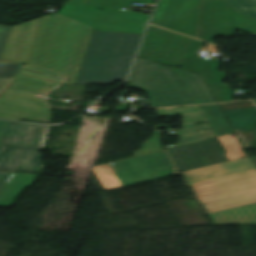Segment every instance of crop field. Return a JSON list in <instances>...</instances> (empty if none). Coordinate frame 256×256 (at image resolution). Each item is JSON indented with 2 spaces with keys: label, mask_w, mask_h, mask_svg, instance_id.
I'll return each instance as SVG.
<instances>
[{
  "label": "crop field",
  "mask_w": 256,
  "mask_h": 256,
  "mask_svg": "<svg viewBox=\"0 0 256 256\" xmlns=\"http://www.w3.org/2000/svg\"><path fill=\"white\" fill-rule=\"evenodd\" d=\"M201 0H161L153 24L197 38Z\"/></svg>",
  "instance_id": "crop-field-10"
},
{
  "label": "crop field",
  "mask_w": 256,
  "mask_h": 256,
  "mask_svg": "<svg viewBox=\"0 0 256 256\" xmlns=\"http://www.w3.org/2000/svg\"><path fill=\"white\" fill-rule=\"evenodd\" d=\"M173 69L185 85L196 104L215 103L209 89L200 75L177 68Z\"/></svg>",
  "instance_id": "crop-field-16"
},
{
  "label": "crop field",
  "mask_w": 256,
  "mask_h": 256,
  "mask_svg": "<svg viewBox=\"0 0 256 256\" xmlns=\"http://www.w3.org/2000/svg\"><path fill=\"white\" fill-rule=\"evenodd\" d=\"M105 190L178 173L164 151L94 169Z\"/></svg>",
  "instance_id": "crop-field-7"
},
{
  "label": "crop field",
  "mask_w": 256,
  "mask_h": 256,
  "mask_svg": "<svg viewBox=\"0 0 256 256\" xmlns=\"http://www.w3.org/2000/svg\"><path fill=\"white\" fill-rule=\"evenodd\" d=\"M253 161L255 162L256 164V156L252 157Z\"/></svg>",
  "instance_id": "crop-field-29"
},
{
  "label": "crop field",
  "mask_w": 256,
  "mask_h": 256,
  "mask_svg": "<svg viewBox=\"0 0 256 256\" xmlns=\"http://www.w3.org/2000/svg\"><path fill=\"white\" fill-rule=\"evenodd\" d=\"M203 42L150 27L140 57L162 62L203 75L210 87L225 85V72H218L220 60H204L197 52Z\"/></svg>",
  "instance_id": "crop-field-4"
},
{
  "label": "crop field",
  "mask_w": 256,
  "mask_h": 256,
  "mask_svg": "<svg viewBox=\"0 0 256 256\" xmlns=\"http://www.w3.org/2000/svg\"><path fill=\"white\" fill-rule=\"evenodd\" d=\"M7 78H0V91L4 87V85L8 82Z\"/></svg>",
  "instance_id": "crop-field-27"
},
{
  "label": "crop field",
  "mask_w": 256,
  "mask_h": 256,
  "mask_svg": "<svg viewBox=\"0 0 256 256\" xmlns=\"http://www.w3.org/2000/svg\"><path fill=\"white\" fill-rule=\"evenodd\" d=\"M37 175L13 172L0 191V206L13 207L24 187L31 186Z\"/></svg>",
  "instance_id": "crop-field-15"
},
{
  "label": "crop field",
  "mask_w": 256,
  "mask_h": 256,
  "mask_svg": "<svg viewBox=\"0 0 256 256\" xmlns=\"http://www.w3.org/2000/svg\"><path fill=\"white\" fill-rule=\"evenodd\" d=\"M163 66V64L137 58L128 85L141 90H154Z\"/></svg>",
  "instance_id": "crop-field-14"
},
{
  "label": "crop field",
  "mask_w": 256,
  "mask_h": 256,
  "mask_svg": "<svg viewBox=\"0 0 256 256\" xmlns=\"http://www.w3.org/2000/svg\"><path fill=\"white\" fill-rule=\"evenodd\" d=\"M169 153L181 171L231 160L216 138L170 149Z\"/></svg>",
  "instance_id": "crop-field-11"
},
{
  "label": "crop field",
  "mask_w": 256,
  "mask_h": 256,
  "mask_svg": "<svg viewBox=\"0 0 256 256\" xmlns=\"http://www.w3.org/2000/svg\"><path fill=\"white\" fill-rule=\"evenodd\" d=\"M255 101H256V99H255Z\"/></svg>",
  "instance_id": "crop-field-30"
},
{
  "label": "crop field",
  "mask_w": 256,
  "mask_h": 256,
  "mask_svg": "<svg viewBox=\"0 0 256 256\" xmlns=\"http://www.w3.org/2000/svg\"><path fill=\"white\" fill-rule=\"evenodd\" d=\"M11 172H6V171H0V189L4 185L5 181L9 177Z\"/></svg>",
  "instance_id": "crop-field-25"
},
{
  "label": "crop field",
  "mask_w": 256,
  "mask_h": 256,
  "mask_svg": "<svg viewBox=\"0 0 256 256\" xmlns=\"http://www.w3.org/2000/svg\"><path fill=\"white\" fill-rule=\"evenodd\" d=\"M141 36L93 31L75 84L124 81Z\"/></svg>",
  "instance_id": "crop-field-3"
},
{
  "label": "crop field",
  "mask_w": 256,
  "mask_h": 256,
  "mask_svg": "<svg viewBox=\"0 0 256 256\" xmlns=\"http://www.w3.org/2000/svg\"><path fill=\"white\" fill-rule=\"evenodd\" d=\"M239 13L256 19V0H226Z\"/></svg>",
  "instance_id": "crop-field-22"
},
{
  "label": "crop field",
  "mask_w": 256,
  "mask_h": 256,
  "mask_svg": "<svg viewBox=\"0 0 256 256\" xmlns=\"http://www.w3.org/2000/svg\"><path fill=\"white\" fill-rule=\"evenodd\" d=\"M154 91H147L151 106H179L195 104L182 82L172 69L164 66Z\"/></svg>",
  "instance_id": "crop-field-12"
},
{
  "label": "crop field",
  "mask_w": 256,
  "mask_h": 256,
  "mask_svg": "<svg viewBox=\"0 0 256 256\" xmlns=\"http://www.w3.org/2000/svg\"><path fill=\"white\" fill-rule=\"evenodd\" d=\"M230 6L225 0H203L201 40L212 43L215 36H234L235 28L256 36V20L240 15Z\"/></svg>",
  "instance_id": "crop-field-9"
},
{
  "label": "crop field",
  "mask_w": 256,
  "mask_h": 256,
  "mask_svg": "<svg viewBox=\"0 0 256 256\" xmlns=\"http://www.w3.org/2000/svg\"><path fill=\"white\" fill-rule=\"evenodd\" d=\"M0 118L49 123L50 108L0 96Z\"/></svg>",
  "instance_id": "crop-field-13"
},
{
  "label": "crop field",
  "mask_w": 256,
  "mask_h": 256,
  "mask_svg": "<svg viewBox=\"0 0 256 256\" xmlns=\"http://www.w3.org/2000/svg\"><path fill=\"white\" fill-rule=\"evenodd\" d=\"M8 122L0 121V141Z\"/></svg>",
  "instance_id": "crop-field-26"
},
{
  "label": "crop field",
  "mask_w": 256,
  "mask_h": 256,
  "mask_svg": "<svg viewBox=\"0 0 256 256\" xmlns=\"http://www.w3.org/2000/svg\"><path fill=\"white\" fill-rule=\"evenodd\" d=\"M208 52H212V53H219L217 50H216V46L215 45H210V48H209V51Z\"/></svg>",
  "instance_id": "crop-field-28"
},
{
  "label": "crop field",
  "mask_w": 256,
  "mask_h": 256,
  "mask_svg": "<svg viewBox=\"0 0 256 256\" xmlns=\"http://www.w3.org/2000/svg\"><path fill=\"white\" fill-rule=\"evenodd\" d=\"M214 225L256 223V204L210 214Z\"/></svg>",
  "instance_id": "crop-field-17"
},
{
  "label": "crop field",
  "mask_w": 256,
  "mask_h": 256,
  "mask_svg": "<svg viewBox=\"0 0 256 256\" xmlns=\"http://www.w3.org/2000/svg\"><path fill=\"white\" fill-rule=\"evenodd\" d=\"M52 15L11 28L2 59L24 64L3 96L49 106L47 95L74 77L36 68Z\"/></svg>",
  "instance_id": "crop-field-1"
},
{
  "label": "crop field",
  "mask_w": 256,
  "mask_h": 256,
  "mask_svg": "<svg viewBox=\"0 0 256 256\" xmlns=\"http://www.w3.org/2000/svg\"><path fill=\"white\" fill-rule=\"evenodd\" d=\"M131 2L154 4L155 0H72L57 13L93 30L142 34L149 16L119 10Z\"/></svg>",
  "instance_id": "crop-field-6"
},
{
  "label": "crop field",
  "mask_w": 256,
  "mask_h": 256,
  "mask_svg": "<svg viewBox=\"0 0 256 256\" xmlns=\"http://www.w3.org/2000/svg\"><path fill=\"white\" fill-rule=\"evenodd\" d=\"M208 214L256 203V168L249 157L182 172ZM191 180H188V179Z\"/></svg>",
  "instance_id": "crop-field-2"
},
{
  "label": "crop field",
  "mask_w": 256,
  "mask_h": 256,
  "mask_svg": "<svg viewBox=\"0 0 256 256\" xmlns=\"http://www.w3.org/2000/svg\"><path fill=\"white\" fill-rule=\"evenodd\" d=\"M218 102L232 101L231 89L229 85L212 88Z\"/></svg>",
  "instance_id": "crop-field-24"
},
{
  "label": "crop field",
  "mask_w": 256,
  "mask_h": 256,
  "mask_svg": "<svg viewBox=\"0 0 256 256\" xmlns=\"http://www.w3.org/2000/svg\"><path fill=\"white\" fill-rule=\"evenodd\" d=\"M92 29L55 13L37 67L76 77Z\"/></svg>",
  "instance_id": "crop-field-5"
},
{
  "label": "crop field",
  "mask_w": 256,
  "mask_h": 256,
  "mask_svg": "<svg viewBox=\"0 0 256 256\" xmlns=\"http://www.w3.org/2000/svg\"><path fill=\"white\" fill-rule=\"evenodd\" d=\"M159 116L183 114V124L206 122L198 106L157 109Z\"/></svg>",
  "instance_id": "crop-field-20"
},
{
  "label": "crop field",
  "mask_w": 256,
  "mask_h": 256,
  "mask_svg": "<svg viewBox=\"0 0 256 256\" xmlns=\"http://www.w3.org/2000/svg\"><path fill=\"white\" fill-rule=\"evenodd\" d=\"M155 136L143 144V149L134 151V156L164 149L161 144L160 132L154 131Z\"/></svg>",
  "instance_id": "crop-field-23"
},
{
  "label": "crop field",
  "mask_w": 256,
  "mask_h": 256,
  "mask_svg": "<svg viewBox=\"0 0 256 256\" xmlns=\"http://www.w3.org/2000/svg\"><path fill=\"white\" fill-rule=\"evenodd\" d=\"M200 108L216 132L217 136L224 135L226 132H233L218 105L200 106Z\"/></svg>",
  "instance_id": "crop-field-18"
},
{
  "label": "crop field",
  "mask_w": 256,
  "mask_h": 256,
  "mask_svg": "<svg viewBox=\"0 0 256 256\" xmlns=\"http://www.w3.org/2000/svg\"><path fill=\"white\" fill-rule=\"evenodd\" d=\"M11 27L0 25V57ZM22 64L0 59V76L14 77ZM23 67V66H22Z\"/></svg>",
  "instance_id": "crop-field-21"
},
{
  "label": "crop field",
  "mask_w": 256,
  "mask_h": 256,
  "mask_svg": "<svg viewBox=\"0 0 256 256\" xmlns=\"http://www.w3.org/2000/svg\"><path fill=\"white\" fill-rule=\"evenodd\" d=\"M234 130L253 129L256 120V108L225 112Z\"/></svg>",
  "instance_id": "crop-field-19"
},
{
  "label": "crop field",
  "mask_w": 256,
  "mask_h": 256,
  "mask_svg": "<svg viewBox=\"0 0 256 256\" xmlns=\"http://www.w3.org/2000/svg\"><path fill=\"white\" fill-rule=\"evenodd\" d=\"M48 126L9 122L0 144L19 146L9 148L5 157V146H0V169L41 172V154L34 149L40 148Z\"/></svg>",
  "instance_id": "crop-field-8"
}]
</instances>
